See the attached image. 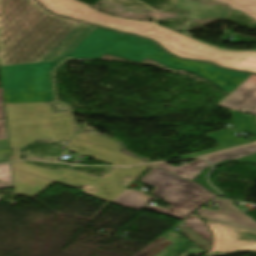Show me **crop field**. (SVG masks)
<instances>
[{
    "label": "crop field",
    "instance_id": "1",
    "mask_svg": "<svg viewBox=\"0 0 256 256\" xmlns=\"http://www.w3.org/2000/svg\"><path fill=\"white\" fill-rule=\"evenodd\" d=\"M104 53L138 62L148 58L175 70H186L209 80L228 95L250 76L209 63L179 60L150 40L100 27L67 57L98 59ZM60 61L0 66L14 160L20 159V148L37 139L68 141L74 136L69 112L54 114L48 106L54 100L50 70Z\"/></svg>",
    "mask_w": 256,
    "mask_h": 256
},
{
    "label": "crop field",
    "instance_id": "2",
    "mask_svg": "<svg viewBox=\"0 0 256 256\" xmlns=\"http://www.w3.org/2000/svg\"><path fill=\"white\" fill-rule=\"evenodd\" d=\"M95 28L34 0H0V65L60 60Z\"/></svg>",
    "mask_w": 256,
    "mask_h": 256
},
{
    "label": "crop field",
    "instance_id": "3",
    "mask_svg": "<svg viewBox=\"0 0 256 256\" xmlns=\"http://www.w3.org/2000/svg\"><path fill=\"white\" fill-rule=\"evenodd\" d=\"M47 10L83 22L152 39L171 54L190 60L212 62L219 67L256 74V52H226L161 28L153 22L117 18L76 0H37Z\"/></svg>",
    "mask_w": 256,
    "mask_h": 256
},
{
    "label": "crop field",
    "instance_id": "4",
    "mask_svg": "<svg viewBox=\"0 0 256 256\" xmlns=\"http://www.w3.org/2000/svg\"><path fill=\"white\" fill-rule=\"evenodd\" d=\"M139 182L155 187L149 193L171 204L168 209L148 205L146 210L180 219H183L196 208L214 197L212 193L204 190L195 182L156 167L141 178Z\"/></svg>",
    "mask_w": 256,
    "mask_h": 256
},
{
    "label": "crop field",
    "instance_id": "5",
    "mask_svg": "<svg viewBox=\"0 0 256 256\" xmlns=\"http://www.w3.org/2000/svg\"><path fill=\"white\" fill-rule=\"evenodd\" d=\"M151 165L153 164L131 168H114L102 178L91 177L70 170H48L25 162L13 163L12 167L76 189L83 184L99 188L101 189L100 192L94 197L111 202L126 189L118 184L122 179L129 175L136 180Z\"/></svg>",
    "mask_w": 256,
    "mask_h": 256
},
{
    "label": "crop field",
    "instance_id": "6",
    "mask_svg": "<svg viewBox=\"0 0 256 256\" xmlns=\"http://www.w3.org/2000/svg\"><path fill=\"white\" fill-rule=\"evenodd\" d=\"M66 146L72 153L92 157L107 164L125 166L142 163L139 159L127 157L119 152L115 141L85 133H79Z\"/></svg>",
    "mask_w": 256,
    "mask_h": 256
},
{
    "label": "crop field",
    "instance_id": "7",
    "mask_svg": "<svg viewBox=\"0 0 256 256\" xmlns=\"http://www.w3.org/2000/svg\"><path fill=\"white\" fill-rule=\"evenodd\" d=\"M214 235L212 250L204 256H227L240 251L256 252V239L242 233L256 236V233L205 221Z\"/></svg>",
    "mask_w": 256,
    "mask_h": 256
},
{
    "label": "crop field",
    "instance_id": "8",
    "mask_svg": "<svg viewBox=\"0 0 256 256\" xmlns=\"http://www.w3.org/2000/svg\"><path fill=\"white\" fill-rule=\"evenodd\" d=\"M187 225L181 226V233H183L186 237H188L192 242H194L196 245H198L201 249L204 251H208L210 249V243H211V235L206 227V225L198 219L195 215L191 218L184 221ZM162 237L155 240L153 243L142 249L140 252L135 254L134 256H153L160 250H162L164 247H166L168 244H170L172 241L163 240L162 242L152 246L159 240H161ZM151 247V249H148ZM178 252V251H177Z\"/></svg>",
    "mask_w": 256,
    "mask_h": 256
},
{
    "label": "crop field",
    "instance_id": "9",
    "mask_svg": "<svg viewBox=\"0 0 256 256\" xmlns=\"http://www.w3.org/2000/svg\"><path fill=\"white\" fill-rule=\"evenodd\" d=\"M213 203L219 204L217 211L202 208L196 214L205 220L256 231V222L233 206L232 201L217 198Z\"/></svg>",
    "mask_w": 256,
    "mask_h": 256
},
{
    "label": "crop field",
    "instance_id": "10",
    "mask_svg": "<svg viewBox=\"0 0 256 256\" xmlns=\"http://www.w3.org/2000/svg\"><path fill=\"white\" fill-rule=\"evenodd\" d=\"M219 106L238 111L241 107L246 112L256 114V76L251 75L236 90L226 97Z\"/></svg>",
    "mask_w": 256,
    "mask_h": 256
},
{
    "label": "crop field",
    "instance_id": "11",
    "mask_svg": "<svg viewBox=\"0 0 256 256\" xmlns=\"http://www.w3.org/2000/svg\"><path fill=\"white\" fill-rule=\"evenodd\" d=\"M12 177L15 194L17 195H27L35 197L46 187H48L51 183H53L51 181L42 179L40 177L13 168Z\"/></svg>",
    "mask_w": 256,
    "mask_h": 256
},
{
    "label": "crop field",
    "instance_id": "12",
    "mask_svg": "<svg viewBox=\"0 0 256 256\" xmlns=\"http://www.w3.org/2000/svg\"><path fill=\"white\" fill-rule=\"evenodd\" d=\"M176 7L192 11L189 18H196V19H203L210 15L225 18L228 12L220 7L191 2L187 0H179Z\"/></svg>",
    "mask_w": 256,
    "mask_h": 256
},
{
    "label": "crop field",
    "instance_id": "13",
    "mask_svg": "<svg viewBox=\"0 0 256 256\" xmlns=\"http://www.w3.org/2000/svg\"><path fill=\"white\" fill-rule=\"evenodd\" d=\"M151 199H153V197L139 190L126 189L120 196L112 201V203L139 211L147 205Z\"/></svg>",
    "mask_w": 256,
    "mask_h": 256
},
{
    "label": "crop field",
    "instance_id": "14",
    "mask_svg": "<svg viewBox=\"0 0 256 256\" xmlns=\"http://www.w3.org/2000/svg\"><path fill=\"white\" fill-rule=\"evenodd\" d=\"M155 166L162 168L164 170L170 171L178 176H181V177L191 180V179L195 178L196 176H198L200 171L204 167L209 166V164L207 162H205L202 158H200L191 163L183 165L179 168H176L174 166H171V165L165 164V163H160Z\"/></svg>",
    "mask_w": 256,
    "mask_h": 256
},
{
    "label": "crop field",
    "instance_id": "15",
    "mask_svg": "<svg viewBox=\"0 0 256 256\" xmlns=\"http://www.w3.org/2000/svg\"><path fill=\"white\" fill-rule=\"evenodd\" d=\"M234 127L256 136V116L232 111ZM238 119V121H236ZM256 141V137L253 139Z\"/></svg>",
    "mask_w": 256,
    "mask_h": 256
},
{
    "label": "crop field",
    "instance_id": "16",
    "mask_svg": "<svg viewBox=\"0 0 256 256\" xmlns=\"http://www.w3.org/2000/svg\"><path fill=\"white\" fill-rule=\"evenodd\" d=\"M254 152H256V144L242 147V148L235 149V150H231V151H227L224 153L208 156V157H205V159H207L211 163L215 164V163L221 162L223 160L241 158L243 156L252 154Z\"/></svg>",
    "mask_w": 256,
    "mask_h": 256
},
{
    "label": "crop field",
    "instance_id": "17",
    "mask_svg": "<svg viewBox=\"0 0 256 256\" xmlns=\"http://www.w3.org/2000/svg\"><path fill=\"white\" fill-rule=\"evenodd\" d=\"M229 5L232 9H238L256 20V0H215Z\"/></svg>",
    "mask_w": 256,
    "mask_h": 256
},
{
    "label": "crop field",
    "instance_id": "18",
    "mask_svg": "<svg viewBox=\"0 0 256 256\" xmlns=\"http://www.w3.org/2000/svg\"><path fill=\"white\" fill-rule=\"evenodd\" d=\"M4 154L9 156V159H6ZM12 160L11 150L8 149L7 136L5 130L4 120L0 121V163Z\"/></svg>",
    "mask_w": 256,
    "mask_h": 256
},
{
    "label": "crop field",
    "instance_id": "19",
    "mask_svg": "<svg viewBox=\"0 0 256 256\" xmlns=\"http://www.w3.org/2000/svg\"><path fill=\"white\" fill-rule=\"evenodd\" d=\"M12 185L9 164L0 165V187Z\"/></svg>",
    "mask_w": 256,
    "mask_h": 256
},
{
    "label": "crop field",
    "instance_id": "20",
    "mask_svg": "<svg viewBox=\"0 0 256 256\" xmlns=\"http://www.w3.org/2000/svg\"><path fill=\"white\" fill-rule=\"evenodd\" d=\"M81 188H85L86 191H83L91 196L95 195L96 193L99 192V189H95V188H92V187H89V186H85L83 185Z\"/></svg>",
    "mask_w": 256,
    "mask_h": 256
},
{
    "label": "crop field",
    "instance_id": "21",
    "mask_svg": "<svg viewBox=\"0 0 256 256\" xmlns=\"http://www.w3.org/2000/svg\"><path fill=\"white\" fill-rule=\"evenodd\" d=\"M4 119L3 115V105H2V97H1V91H0V120Z\"/></svg>",
    "mask_w": 256,
    "mask_h": 256
},
{
    "label": "crop field",
    "instance_id": "22",
    "mask_svg": "<svg viewBox=\"0 0 256 256\" xmlns=\"http://www.w3.org/2000/svg\"><path fill=\"white\" fill-rule=\"evenodd\" d=\"M251 157H253V158L256 160V154H255V155H252Z\"/></svg>",
    "mask_w": 256,
    "mask_h": 256
},
{
    "label": "crop field",
    "instance_id": "23",
    "mask_svg": "<svg viewBox=\"0 0 256 256\" xmlns=\"http://www.w3.org/2000/svg\"><path fill=\"white\" fill-rule=\"evenodd\" d=\"M1 199V198H0Z\"/></svg>",
    "mask_w": 256,
    "mask_h": 256
}]
</instances>
